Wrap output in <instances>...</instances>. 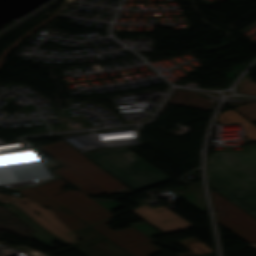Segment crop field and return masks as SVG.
<instances>
[{
	"label": "crop field",
	"instance_id": "dd49c442",
	"mask_svg": "<svg viewBox=\"0 0 256 256\" xmlns=\"http://www.w3.org/2000/svg\"><path fill=\"white\" fill-rule=\"evenodd\" d=\"M109 222L108 219L91 227L134 256H149L162 251L149 242L150 237L139 230L131 227L114 231L104 225Z\"/></svg>",
	"mask_w": 256,
	"mask_h": 256
},
{
	"label": "crop field",
	"instance_id": "5a996713",
	"mask_svg": "<svg viewBox=\"0 0 256 256\" xmlns=\"http://www.w3.org/2000/svg\"><path fill=\"white\" fill-rule=\"evenodd\" d=\"M73 233L80 237L82 241L71 245L85 256H120L128 254L107 238V240L104 241L106 245L98 243L90 247L86 246L105 238L90 227L75 231Z\"/></svg>",
	"mask_w": 256,
	"mask_h": 256
},
{
	"label": "crop field",
	"instance_id": "00972430",
	"mask_svg": "<svg viewBox=\"0 0 256 256\" xmlns=\"http://www.w3.org/2000/svg\"><path fill=\"white\" fill-rule=\"evenodd\" d=\"M205 256H208V255H205Z\"/></svg>",
	"mask_w": 256,
	"mask_h": 256
},
{
	"label": "crop field",
	"instance_id": "92a150f3",
	"mask_svg": "<svg viewBox=\"0 0 256 256\" xmlns=\"http://www.w3.org/2000/svg\"><path fill=\"white\" fill-rule=\"evenodd\" d=\"M249 245H251L252 247H254L256 249V244H249Z\"/></svg>",
	"mask_w": 256,
	"mask_h": 256
},
{
	"label": "crop field",
	"instance_id": "dafd665d",
	"mask_svg": "<svg viewBox=\"0 0 256 256\" xmlns=\"http://www.w3.org/2000/svg\"><path fill=\"white\" fill-rule=\"evenodd\" d=\"M129 256H132V255H129Z\"/></svg>",
	"mask_w": 256,
	"mask_h": 256
},
{
	"label": "crop field",
	"instance_id": "34b2d1b8",
	"mask_svg": "<svg viewBox=\"0 0 256 256\" xmlns=\"http://www.w3.org/2000/svg\"><path fill=\"white\" fill-rule=\"evenodd\" d=\"M85 155L135 191L170 180L125 147Z\"/></svg>",
	"mask_w": 256,
	"mask_h": 256
},
{
	"label": "crop field",
	"instance_id": "733c2abd",
	"mask_svg": "<svg viewBox=\"0 0 256 256\" xmlns=\"http://www.w3.org/2000/svg\"><path fill=\"white\" fill-rule=\"evenodd\" d=\"M94 200L98 201L99 203H101L103 206H105L107 209L111 211L123 207L122 205H120L119 203L113 200H104V199H94Z\"/></svg>",
	"mask_w": 256,
	"mask_h": 256
},
{
	"label": "crop field",
	"instance_id": "8a807250",
	"mask_svg": "<svg viewBox=\"0 0 256 256\" xmlns=\"http://www.w3.org/2000/svg\"><path fill=\"white\" fill-rule=\"evenodd\" d=\"M207 165L212 187L256 218V144L246 152L216 151Z\"/></svg>",
	"mask_w": 256,
	"mask_h": 256
},
{
	"label": "crop field",
	"instance_id": "d9b57169",
	"mask_svg": "<svg viewBox=\"0 0 256 256\" xmlns=\"http://www.w3.org/2000/svg\"><path fill=\"white\" fill-rule=\"evenodd\" d=\"M131 225H133V227L139 229L140 231H142L143 233L147 234L150 237L162 235V233H160L159 231H157L156 229H154L153 227H151L150 225L143 221Z\"/></svg>",
	"mask_w": 256,
	"mask_h": 256
},
{
	"label": "crop field",
	"instance_id": "cbeb9de0",
	"mask_svg": "<svg viewBox=\"0 0 256 256\" xmlns=\"http://www.w3.org/2000/svg\"><path fill=\"white\" fill-rule=\"evenodd\" d=\"M238 86H239L240 93L256 96V84L251 82L250 79H248L246 75L238 83Z\"/></svg>",
	"mask_w": 256,
	"mask_h": 256
},
{
	"label": "crop field",
	"instance_id": "4a817a6b",
	"mask_svg": "<svg viewBox=\"0 0 256 256\" xmlns=\"http://www.w3.org/2000/svg\"><path fill=\"white\" fill-rule=\"evenodd\" d=\"M0 198H4V199L12 201V200H15V199L20 198V197L0 193Z\"/></svg>",
	"mask_w": 256,
	"mask_h": 256
},
{
	"label": "crop field",
	"instance_id": "22f410ed",
	"mask_svg": "<svg viewBox=\"0 0 256 256\" xmlns=\"http://www.w3.org/2000/svg\"><path fill=\"white\" fill-rule=\"evenodd\" d=\"M225 118L236 119L239 122V124L243 125L246 136L251 139H256V127L252 125L249 121H247L245 118H243L239 113L231 109V110L220 113L217 119H225Z\"/></svg>",
	"mask_w": 256,
	"mask_h": 256
},
{
	"label": "crop field",
	"instance_id": "ac0d7876",
	"mask_svg": "<svg viewBox=\"0 0 256 256\" xmlns=\"http://www.w3.org/2000/svg\"><path fill=\"white\" fill-rule=\"evenodd\" d=\"M39 148L64 164L53 171L85 194H118L120 191L116 187L124 186L63 141Z\"/></svg>",
	"mask_w": 256,
	"mask_h": 256
},
{
	"label": "crop field",
	"instance_id": "28ad6ade",
	"mask_svg": "<svg viewBox=\"0 0 256 256\" xmlns=\"http://www.w3.org/2000/svg\"><path fill=\"white\" fill-rule=\"evenodd\" d=\"M4 208H6L9 212L12 214H15L19 219H21L23 222H25L29 227H31L35 232L32 233V235L37 238V241L40 243L46 245L47 247L54 249L57 248V246L53 245L51 242L58 241L62 243L63 245H66V243L60 241L58 238L46 233L43 231L40 227H38L34 222H32L29 218H27L25 215H23L20 211H18L15 207H13L10 203L4 204Z\"/></svg>",
	"mask_w": 256,
	"mask_h": 256
},
{
	"label": "crop field",
	"instance_id": "3316defc",
	"mask_svg": "<svg viewBox=\"0 0 256 256\" xmlns=\"http://www.w3.org/2000/svg\"><path fill=\"white\" fill-rule=\"evenodd\" d=\"M19 192L33 199L34 201L40 203L42 206L49 207L63 223L67 224L66 226L71 231L86 226V224L83 223L81 220L73 216L71 213H69L68 211H66L65 209H63L62 207H60L59 205H57L56 203H54L53 201H51L50 199L36 191L32 187L21 190ZM42 199L44 201H41ZM71 223H74V225H72Z\"/></svg>",
	"mask_w": 256,
	"mask_h": 256
},
{
	"label": "crop field",
	"instance_id": "e52e79f7",
	"mask_svg": "<svg viewBox=\"0 0 256 256\" xmlns=\"http://www.w3.org/2000/svg\"><path fill=\"white\" fill-rule=\"evenodd\" d=\"M13 204L50 234L68 244L78 242L76 236L53 214L52 211L42 207L40 204L29 198H20L15 200ZM34 211H38L39 214L34 213Z\"/></svg>",
	"mask_w": 256,
	"mask_h": 256
},
{
	"label": "crop field",
	"instance_id": "bc2a9ffb",
	"mask_svg": "<svg viewBox=\"0 0 256 256\" xmlns=\"http://www.w3.org/2000/svg\"><path fill=\"white\" fill-rule=\"evenodd\" d=\"M221 124L237 123L234 119L217 120Z\"/></svg>",
	"mask_w": 256,
	"mask_h": 256
},
{
	"label": "crop field",
	"instance_id": "f4fd0767",
	"mask_svg": "<svg viewBox=\"0 0 256 256\" xmlns=\"http://www.w3.org/2000/svg\"><path fill=\"white\" fill-rule=\"evenodd\" d=\"M214 191L211 195L218 224L246 243H256V219Z\"/></svg>",
	"mask_w": 256,
	"mask_h": 256
},
{
	"label": "crop field",
	"instance_id": "d8731c3e",
	"mask_svg": "<svg viewBox=\"0 0 256 256\" xmlns=\"http://www.w3.org/2000/svg\"><path fill=\"white\" fill-rule=\"evenodd\" d=\"M132 211L164 233L194 227L162 205L156 208L146 205Z\"/></svg>",
	"mask_w": 256,
	"mask_h": 256
},
{
	"label": "crop field",
	"instance_id": "214f88e0",
	"mask_svg": "<svg viewBox=\"0 0 256 256\" xmlns=\"http://www.w3.org/2000/svg\"><path fill=\"white\" fill-rule=\"evenodd\" d=\"M0 201L4 202V203L11 202V201H7V200H4V199H0Z\"/></svg>",
	"mask_w": 256,
	"mask_h": 256
},
{
	"label": "crop field",
	"instance_id": "5142ce71",
	"mask_svg": "<svg viewBox=\"0 0 256 256\" xmlns=\"http://www.w3.org/2000/svg\"><path fill=\"white\" fill-rule=\"evenodd\" d=\"M234 109L240 112L248 120L250 121L256 120V103L251 104L250 106L245 105V106L237 107Z\"/></svg>",
	"mask_w": 256,
	"mask_h": 256
},
{
	"label": "crop field",
	"instance_id": "d1516ede",
	"mask_svg": "<svg viewBox=\"0 0 256 256\" xmlns=\"http://www.w3.org/2000/svg\"><path fill=\"white\" fill-rule=\"evenodd\" d=\"M178 243L190 250L191 252L179 253L176 254L177 256L212 253V249L200 242L194 236L178 241Z\"/></svg>",
	"mask_w": 256,
	"mask_h": 256
},
{
	"label": "crop field",
	"instance_id": "412701ff",
	"mask_svg": "<svg viewBox=\"0 0 256 256\" xmlns=\"http://www.w3.org/2000/svg\"><path fill=\"white\" fill-rule=\"evenodd\" d=\"M64 185V181L61 178H58L34 188L88 225L112 215L109 213V210L86 197L83 192H59Z\"/></svg>",
	"mask_w": 256,
	"mask_h": 256
}]
</instances>
